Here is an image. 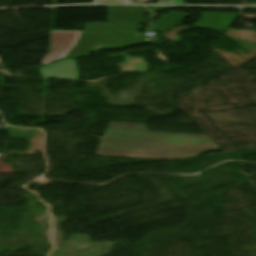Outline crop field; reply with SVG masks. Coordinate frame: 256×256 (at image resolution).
I'll list each match as a JSON object with an SVG mask.
<instances>
[{
    "mask_svg": "<svg viewBox=\"0 0 256 256\" xmlns=\"http://www.w3.org/2000/svg\"><path fill=\"white\" fill-rule=\"evenodd\" d=\"M54 1H56V0H54Z\"/></svg>",
    "mask_w": 256,
    "mask_h": 256,
    "instance_id": "crop-field-13",
    "label": "crop field"
},
{
    "mask_svg": "<svg viewBox=\"0 0 256 256\" xmlns=\"http://www.w3.org/2000/svg\"><path fill=\"white\" fill-rule=\"evenodd\" d=\"M109 22L146 21L139 7L108 6Z\"/></svg>",
    "mask_w": 256,
    "mask_h": 256,
    "instance_id": "crop-field-6",
    "label": "crop field"
},
{
    "mask_svg": "<svg viewBox=\"0 0 256 256\" xmlns=\"http://www.w3.org/2000/svg\"><path fill=\"white\" fill-rule=\"evenodd\" d=\"M133 23L147 24L146 22L86 24L78 44L68 57L89 55L96 44H101L103 50H117L146 43L144 37L133 27Z\"/></svg>",
    "mask_w": 256,
    "mask_h": 256,
    "instance_id": "crop-field-2",
    "label": "crop field"
},
{
    "mask_svg": "<svg viewBox=\"0 0 256 256\" xmlns=\"http://www.w3.org/2000/svg\"><path fill=\"white\" fill-rule=\"evenodd\" d=\"M172 144L102 139L96 154L167 159Z\"/></svg>",
    "mask_w": 256,
    "mask_h": 256,
    "instance_id": "crop-field-3",
    "label": "crop field"
},
{
    "mask_svg": "<svg viewBox=\"0 0 256 256\" xmlns=\"http://www.w3.org/2000/svg\"><path fill=\"white\" fill-rule=\"evenodd\" d=\"M43 77H55L78 80V69L76 63H67L57 69L42 71Z\"/></svg>",
    "mask_w": 256,
    "mask_h": 256,
    "instance_id": "crop-field-8",
    "label": "crop field"
},
{
    "mask_svg": "<svg viewBox=\"0 0 256 256\" xmlns=\"http://www.w3.org/2000/svg\"><path fill=\"white\" fill-rule=\"evenodd\" d=\"M82 32L72 31H53L51 32L50 46L52 49L41 61L43 65L58 60L60 58H66L70 51L76 45Z\"/></svg>",
    "mask_w": 256,
    "mask_h": 256,
    "instance_id": "crop-field-4",
    "label": "crop field"
},
{
    "mask_svg": "<svg viewBox=\"0 0 256 256\" xmlns=\"http://www.w3.org/2000/svg\"><path fill=\"white\" fill-rule=\"evenodd\" d=\"M237 14L202 13V18L193 27L228 32Z\"/></svg>",
    "mask_w": 256,
    "mask_h": 256,
    "instance_id": "crop-field-5",
    "label": "crop field"
},
{
    "mask_svg": "<svg viewBox=\"0 0 256 256\" xmlns=\"http://www.w3.org/2000/svg\"><path fill=\"white\" fill-rule=\"evenodd\" d=\"M148 8L153 11H160V10H164V9L180 8V7H148Z\"/></svg>",
    "mask_w": 256,
    "mask_h": 256,
    "instance_id": "crop-field-11",
    "label": "crop field"
},
{
    "mask_svg": "<svg viewBox=\"0 0 256 256\" xmlns=\"http://www.w3.org/2000/svg\"><path fill=\"white\" fill-rule=\"evenodd\" d=\"M67 62H75V60H63V61H60V62H58V63H56V64H54L52 66L40 68L39 70L42 71V70H46V69L56 68V67H59L62 64L67 63Z\"/></svg>",
    "mask_w": 256,
    "mask_h": 256,
    "instance_id": "crop-field-9",
    "label": "crop field"
},
{
    "mask_svg": "<svg viewBox=\"0 0 256 256\" xmlns=\"http://www.w3.org/2000/svg\"><path fill=\"white\" fill-rule=\"evenodd\" d=\"M138 2H149V1H152V0H136Z\"/></svg>",
    "mask_w": 256,
    "mask_h": 256,
    "instance_id": "crop-field-12",
    "label": "crop field"
},
{
    "mask_svg": "<svg viewBox=\"0 0 256 256\" xmlns=\"http://www.w3.org/2000/svg\"><path fill=\"white\" fill-rule=\"evenodd\" d=\"M103 2L133 3L130 0H98V3H103Z\"/></svg>",
    "mask_w": 256,
    "mask_h": 256,
    "instance_id": "crop-field-10",
    "label": "crop field"
},
{
    "mask_svg": "<svg viewBox=\"0 0 256 256\" xmlns=\"http://www.w3.org/2000/svg\"><path fill=\"white\" fill-rule=\"evenodd\" d=\"M102 138L173 143L168 159L219 149L208 136L148 132L145 124L111 122Z\"/></svg>",
    "mask_w": 256,
    "mask_h": 256,
    "instance_id": "crop-field-1",
    "label": "crop field"
},
{
    "mask_svg": "<svg viewBox=\"0 0 256 256\" xmlns=\"http://www.w3.org/2000/svg\"><path fill=\"white\" fill-rule=\"evenodd\" d=\"M189 18L188 15L172 13L169 16L161 15L149 31L165 33L168 29L180 24V20Z\"/></svg>",
    "mask_w": 256,
    "mask_h": 256,
    "instance_id": "crop-field-7",
    "label": "crop field"
}]
</instances>
